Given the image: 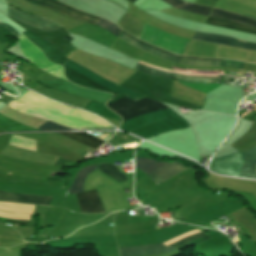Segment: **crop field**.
<instances>
[{
    "label": "crop field",
    "mask_w": 256,
    "mask_h": 256,
    "mask_svg": "<svg viewBox=\"0 0 256 256\" xmlns=\"http://www.w3.org/2000/svg\"><path fill=\"white\" fill-rule=\"evenodd\" d=\"M162 1L166 2L167 4L173 6L177 9H181V10L193 12V13H198V14H202V15H206V16H208L210 14V11L212 9V8H208V7L193 5V4L187 3L183 0H162Z\"/></svg>",
    "instance_id": "14"
},
{
    "label": "crop field",
    "mask_w": 256,
    "mask_h": 256,
    "mask_svg": "<svg viewBox=\"0 0 256 256\" xmlns=\"http://www.w3.org/2000/svg\"><path fill=\"white\" fill-rule=\"evenodd\" d=\"M121 31H123V30H121ZM123 32L125 34H127L129 37H131V38H133L135 40H138V39L134 38L133 36H131L130 34L126 33L125 31H123ZM123 32L120 33L118 38H120V39H122V40H124V41H126V42H128V43H130V44H132V45H134V46H136L138 48H140V49H143V50H145V51H147L149 53H152V54H154V55H156L158 57H161V58H164V59L176 62V63H182V64H188V65H194V66H220V67L222 66V62L194 61V60H211V61H222V60L176 56V55H173V54H171L169 52H166V51H164V50H162V49H160L158 47L150 45V46H152V47H154L156 49H159V50H161L163 52H166V53H168V54H170L172 56H176V57H180V58H186V59H194V60H186V59H179V58L172 57V56H170L168 54H165V53H163V52H161L159 50H156V49H154L152 47L147 46L149 44L145 45L146 43L143 44L144 42L140 43V42H142L140 40H138V41H140V42H138V41H135V40L129 38Z\"/></svg>",
    "instance_id": "6"
},
{
    "label": "crop field",
    "mask_w": 256,
    "mask_h": 256,
    "mask_svg": "<svg viewBox=\"0 0 256 256\" xmlns=\"http://www.w3.org/2000/svg\"><path fill=\"white\" fill-rule=\"evenodd\" d=\"M29 2L35 3L37 5L46 7L48 9L57 11L59 13H62L72 19L83 21L89 23L91 19L94 17L93 15L87 14L85 12H82L80 10L71 8L63 3H60L55 0H27ZM93 25L100 26L114 34L115 36H118L120 32V27L117 25L103 19L100 17L95 16L93 20L90 22Z\"/></svg>",
    "instance_id": "4"
},
{
    "label": "crop field",
    "mask_w": 256,
    "mask_h": 256,
    "mask_svg": "<svg viewBox=\"0 0 256 256\" xmlns=\"http://www.w3.org/2000/svg\"><path fill=\"white\" fill-rule=\"evenodd\" d=\"M245 63L238 61L224 60L222 67L238 68L242 69Z\"/></svg>",
    "instance_id": "25"
},
{
    "label": "crop field",
    "mask_w": 256,
    "mask_h": 256,
    "mask_svg": "<svg viewBox=\"0 0 256 256\" xmlns=\"http://www.w3.org/2000/svg\"><path fill=\"white\" fill-rule=\"evenodd\" d=\"M210 16L223 18V19L234 20V21H238V22L244 23V24L249 25V26L256 27V21H254V20L248 19V18H246L244 16H241V15L233 14V13L218 10V9H214L212 11V13L210 14Z\"/></svg>",
    "instance_id": "17"
},
{
    "label": "crop field",
    "mask_w": 256,
    "mask_h": 256,
    "mask_svg": "<svg viewBox=\"0 0 256 256\" xmlns=\"http://www.w3.org/2000/svg\"><path fill=\"white\" fill-rule=\"evenodd\" d=\"M199 230H193L187 233H184L166 243H162L164 245L170 244L182 237H185L187 235H190L192 233H195ZM210 239L209 237L205 236L201 232H197L195 234H192L190 236H187L185 238H182L170 245H167L175 250H180L186 246L198 244L202 241ZM162 244H149V245H141V246H133V247H123L119 248L120 256H141V255H148V254H156V253H163V252H171L174 251Z\"/></svg>",
    "instance_id": "3"
},
{
    "label": "crop field",
    "mask_w": 256,
    "mask_h": 256,
    "mask_svg": "<svg viewBox=\"0 0 256 256\" xmlns=\"http://www.w3.org/2000/svg\"><path fill=\"white\" fill-rule=\"evenodd\" d=\"M179 82H181L182 84L187 85L193 89H196V90H199V91H202L205 93H207V92L213 90L214 88L218 87L219 85H221V84L191 83V82H182V81H179Z\"/></svg>",
    "instance_id": "23"
},
{
    "label": "crop field",
    "mask_w": 256,
    "mask_h": 256,
    "mask_svg": "<svg viewBox=\"0 0 256 256\" xmlns=\"http://www.w3.org/2000/svg\"><path fill=\"white\" fill-rule=\"evenodd\" d=\"M160 32V30L154 27L143 24L139 39L154 45L159 37ZM188 42L189 39L175 37L162 31L155 46L181 55Z\"/></svg>",
    "instance_id": "5"
},
{
    "label": "crop field",
    "mask_w": 256,
    "mask_h": 256,
    "mask_svg": "<svg viewBox=\"0 0 256 256\" xmlns=\"http://www.w3.org/2000/svg\"><path fill=\"white\" fill-rule=\"evenodd\" d=\"M99 170L109 175L118 182L126 180V176L123 175L116 166L111 164H101Z\"/></svg>",
    "instance_id": "22"
},
{
    "label": "crop field",
    "mask_w": 256,
    "mask_h": 256,
    "mask_svg": "<svg viewBox=\"0 0 256 256\" xmlns=\"http://www.w3.org/2000/svg\"><path fill=\"white\" fill-rule=\"evenodd\" d=\"M140 64L152 67V68H156L153 67L149 64H145V63H141ZM138 64L135 67V70L141 71V72H145V73H149V74H153V75H157V76H163V77H168V78H172V79H178V80H184V81H193V82H203L204 79H211V80H217V77H205V76H189V75H179V74H185V73H179V74H170V73H165L163 71L160 70H164V69H160V68H156V69H160V70H156V69H152L143 65ZM166 72H171V73H178V72H172V71H168V70H164Z\"/></svg>",
    "instance_id": "11"
},
{
    "label": "crop field",
    "mask_w": 256,
    "mask_h": 256,
    "mask_svg": "<svg viewBox=\"0 0 256 256\" xmlns=\"http://www.w3.org/2000/svg\"><path fill=\"white\" fill-rule=\"evenodd\" d=\"M0 26H4L5 28L10 30L17 37L20 35L8 24H4V23L0 22ZM64 65L77 71L78 73L86 76L88 79H90L98 84H101V85H103V86H105V87L125 96V97H128L130 99L141 97V96H139L121 86H118L110 81H107V80L93 74L89 70L81 67L80 65H78L68 59L66 60ZM123 96H120V97L106 103L107 107L112 109L114 112H116L118 115H120L123 118V121L133 118V117L143 115L147 112L156 111V110L163 109V108H168L167 106H165L164 104H162L160 102L150 100V99H147L144 97L130 100Z\"/></svg>",
    "instance_id": "1"
},
{
    "label": "crop field",
    "mask_w": 256,
    "mask_h": 256,
    "mask_svg": "<svg viewBox=\"0 0 256 256\" xmlns=\"http://www.w3.org/2000/svg\"><path fill=\"white\" fill-rule=\"evenodd\" d=\"M52 197H41L33 195H24V194H13L0 191V200L1 201H10V202H26V203H37L49 205Z\"/></svg>",
    "instance_id": "13"
},
{
    "label": "crop field",
    "mask_w": 256,
    "mask_h": 256,
    "mask_svg": "<svg viewBox=\"0 0 256 256\" xmlns=\"http://www.w3.org/2000/svg\"><path fill=\"white\" fill-rule=\"evenodd\" d=\"M65 137L71 138L77 142H80L88 147L97 148L103 141L85 133V132H75V133H57Z\"/></svg>",
    "instance_id": "15"
},
{
    "label": "crop field",
    "mask_w": 256,
    "mask_h": 256,
    "mask_svg": "<svg viewBox=\"0 0 256 256\" xmlns=\"http://www.w3.org/2000/svg\"><path fill=\"white\" fill-rule=\"evenodd\" d=\"M0 216L5 218H10V219H18V220H29V217H30V215H26V214L6 213L1 211H0ZM10 219L0 218V221L6 222V223H14V224L29 226V221H18V220H10Z\"/></svg>",
    "instance_id": "21"
},
{
    "label": "crop field",
    "mask_w": 256,
    "mask_h": 256,
    "mask_svg": "<svg viewBox=\"0 0 256 256\" xmlns=\"http://www.w3.org/2000/svg\"><path fill=\"white\" fill-rule=\"evenodd\" d=\"M81 212H107L96 190L76 194Z\"/></svg>",
    "instance_id": "9"
},
{
    "label": "crop field",
    "mask_w": 256,
    "mask_h": 256,
    "mask_svg": "<svg viewBox=\"0 0 256 256\" xmlns=\"http://www.w3.org/2000/svg\"><path fill=\"white\" fill-rule=\"evenodd\" d=\"M34 207L35 205L0 202V210H3V211L32 214Z\"/></svg>",
    "instance_id": "20"
},
{
    "label": "crop field",
    "mask_w": 256,
    "mask_h": 256,
    "mask_svg": "<svg viewBox=\"0 0 256 256\" xmlns=\"http://www.w3.org/2000/svg\"><path fill=\"white\" fill-rule=\"evenodd\" d=\"M185 169H187V167H185L183 164L178 163V162H172V163H169V164L153 171L152 173H150L147 176L150 179H152L156 184H158V183H161V182L169 179L174 174H176L180 171H183Z\"/></svg>",
    "instance_id": "12"
},
{
    "label": "crop field",
    "mask_w": 256,
    "mask_h": 256,
    "mask_svg": "<svg viewBox=\"0 0 256 256\" xmlns=\"http://www.w3.org/2000/svg\"><path fill=\"white\" fill-rule=\"evenodd\" d=\"M130 2L134 3L136 0H129Z\"/></svg>",
    "instance_id": "27"
},
{
    "label": "crop field",
    "mask_w": 256,
    "mask_h": 256,
    "mask_svg": "<svg viewBox=\"0 0 256 256\" xmlns=\"http://www.w3.org/2000/svg\"><path fill=\"white\" fill-rule=\"evenodd\" d=\"M97 166H98V164L94 165V166L87 167V168L82 169L81 171H79L74 183L69 188L70 194L82 192V187H83V183H84L85 178L87 177V175L89 173L96 170Z\"/></svg>",
    "instance_id": "18"
},
{
    "label": "crop field",
    "mask_w": 256,
    "mask_h": 256,
    "mask_svg": "<svg viewBox=\"0 0 256 256\" xmlns=\"http://www.w3.org/2000/svg\"><path fill=\"white\" fill-rule=\"evenodd\" d=\"M244 153H235L225 157L213 159L210 163V170L221 174L230 175ZM256 146L247 150L231 175L256 179Z\"/></svg>",
    "instance_id": "2"
},
{
    "label": "crop field",
    "mask_w": 256,
    "mask_h": 256,
    "mask_svg": "<svg viewBox=\"0 0 256 256\" xmlns=\"http://www.w3.org/2000/svg\"><path fill=\"white\" fill-rule=\"evenodd\" d=\"M4 60H5V59H4V56L0 54V62L3 63Z\"/></svg>",
    "instance_id": "26"
},
{
    "label": "crop field",
    "mask_w": 256,
    "mask_h": 256,
    "mask_svg": "<svg viewBox=\"0 0 256 256\" xmlns=\"http://www.w3.org/2000/svg\"><path fill=\"white\" fill-rule=\"evenodd\" d=\"M8 17L19 22L28 24L36 29L44 32H50L52 30L58 29L60 26L43 18H38L31 16L28 13L18 11L10 6H8Z\"/></svg>",
    "instance_id": "8"
},
{
    "label": "crop field",
    "mask_w": 256,
    "mask_h": 256,
    "mask_svg": "<svg viewBox=\"0 0 256 256\" xmlns=\"http://www.w3.org/2000/svg\"><path fill=\"white\" fill-rule=\"evenodd\" d=\"M192 39L193 40H203V41H207V42H211V43H215V44L233 46V47L246 49V50H256V44L239 41V40L232 39V38L225 37V36L195 32Z\"/></svg>",
    "instance_id": "10"
},
{
    "label": "crop field",
    "mask_w": 256,
    "mask_h": 256,
    "mask_svg": "<svg viewBox=\"0 0 256 256\" xmlns=\"http://www.w3.org/2000/svg\"><path fill=\"white\" fill-rule=\"evenodd\" d=\"M206 23L216 25V26H220V27L232 28V29H237V30H241V31L256 34V28L249 27V26H246V25L240 24V23H235V22L222 20V19H216V18L208 17Z\"/></svg>",
    "instance_id": "16"
},
{
    "label": "crop field",
    "mask_w": 256,
    "mask_h": 256,
    "mask_svg": "<svg viewBox=\"0 0 256 256\" xmlns=\"http://www.w3.org/2000/svg\"><path fill=\"white\" fill-rule=\"evenodd\" d=\"M19 47L25 53L31 63L37 65L40 69L48 73L66 80L63 76V68L48 61L43 53L38 49V47L33 45L27 38L22 35L19 37Z\"/></svg>",
    "instance_id": "7"
},
{
    "label": "crop field",
    "mask_w": 256,
    "mask_h": 256,
    "mask_svg": "<svg viewBox=\"0 0 256 256\" xmlns=\"http://www.w3.org/2000/svg\"><path fill=\"white\" fill-rule=\"evenodd\" d=\"M166 163L168 162H158L156 160L151 159L135 158V166L139 168L142 172H144L146 175Z\"/></svg>",
    "instance_id": "19"
},
{
    "label": "crop field",
    "mask_w": 256,
    "mask_h": 256,
    "mask_svg": "<svg viewBox=\"0 0 256 256\" xmlns=\"http://www.w3.org/2000/svg\"><path fill=\"white\" fill-rule=\"evenodd\" d=\"M39 129H43V130H73V129H69L60 125H57L55 123L52 122H45L44 124H42Z\"/></svg>",
    "instance_id": "24"
}]
</instances>
